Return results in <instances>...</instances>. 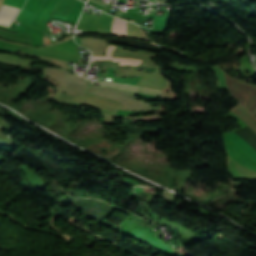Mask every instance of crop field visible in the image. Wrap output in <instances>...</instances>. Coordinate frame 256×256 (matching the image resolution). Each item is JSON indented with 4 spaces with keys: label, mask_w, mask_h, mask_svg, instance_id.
<instances>
[{
    "label": "crop field",
    "mask_w": 256,
    "mask_h": 256,
    "mask_svg": "<svg viewBox=\"0 0 256 256\" xmlns=\"http://www.w3.org/2000/svg\"><path fill=\"white\" fill-rule=\"evenodd\" d=\"M225 76L231 96L256 116V85L242 82L226 73Z\"/></svg>",
    "instance_id": "obj_1"
},
{
    "label": "crop field",
    "mask_w": 256,
    "mask_h": 256,
    "mask_svg": "<svg viewBox=\"0 0 256 256\" xmlns=\"http://www.w3.org/2000/svg\"><path fill=\"white\" fill-rule=\"evenodd\" d=\"M234 112L244 123L256 132V119L254 116L245 109L242 105L238 104L231 110Z\"/></svg>",
    "instance_id": "obj_2"
},
{
    "label": "crop field",
    "mask_w": 256,
    "mask_h": 256,
    "mask_svg": "<svg viewBox=\"0 0 256 256\" xmlns=\"http://www.w3.org/2000/svg\"><path fill=\"white\" fill-rule=\"evenodd\" d=\"M116 47H117V46L110 45V46L107 48L106 57H95V56H93L92 61H96V60H105V59L112 60V61H120L119 66L135 65V64H136V62L138 61V59L111 57V54H112L113 50H114ZM140 62H141V60H139L136 65H139Z\"/></svg>",
    "instance_id": "obj_3"
},
{
    "label": "crop field",
    "mask_w": 256,
    "mask_h": 256,
    "mask_svg": "<svg viewBox=\"0 0 256 256\" xmlns=\"http://www.w3.org/2000/svg\"><path fill=\"white\" fill-rule=\"evenodd\" d=\"M18 11V8L3 5L0 10V25L9 27Z\"/></svg>",
    "instance_id": "obj_4"
},
{
    "label": "crop field",
    "mask_w": 256,
    "mask_h": 256,
    "mask_svg": "<svg viewBox=\"0 0 256 256\" xmlns=\"http://www.w3.org/2000/svg\"><path fill=\"white\" fill-rule=\"evenodd\" d=\"M112 34L127 36L126 22L114 17V21L112 23Z\"/></svg>",
    "instance_id": "obj_5"
},
{
    "label": "crop field",
    "mask_w": 256,
    "mask_h": 256,
    "mask_svg": "<svg viewBox=\"0 0 256 256\" xmlns=\"http://www.w3.org/2000/svg\"><path fill=\"white\" fill-rule=\"evenodd\" d=\"M102 84H103V82H102ZM104 85L111 86V87L125 88V89H129V90H134V91H138L140 88L135 85L113 83V82H109V81H105Z\"/></svg>",
    "instance_id": "obj_6"
},
{
    "label": "crop field",
    "mask_w": 256,
    "mask_h": 256,
    "mask_svg": "<svg viewBox=\"0 0 256 256\" xmlns=\"http://www.w3.org/2000/svg\"><path fill=\"white\" fill-rule=\"evenodd\" d=\"M140 91L143 92V93H149V94H155V95H160L161 96V90H157V89H150V88L141 87Z\"/></svg>",
    "instance_id": "obj_7"
}]
</instances>
